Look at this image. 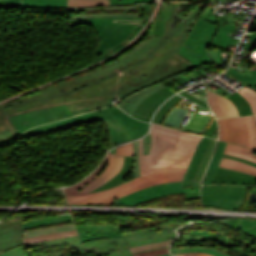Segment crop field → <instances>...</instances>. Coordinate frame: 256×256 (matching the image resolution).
I'll use <instances>...</instances> for the list:
<instances>
[{
  "mask_svg": "<svg viewBox=\"0 0 256 256\" xmlns=\"http://www.w3.org/2000/svg\"><path fill=\"white\" fill-rule=\"evenodd\" d=\"M190 23H193L192 19L187 20L185 25H183L178 32L171 35L163 45H160V48H157L155 52L151 53L144 61L138 64H130L126 69H124V71H121L112 77L96 84H92L89 87L82 88L81 90H76L44 101L24 102L19 105L2 109V111L7 117H9L66 103L70 111H73L75 114H81L109 106L112 104V100L117 97L122 98L127 94L157 82L166 76L190 69L193 66L172 54L188 31V25ZM172 57H175L180 61L175 66L168 62L169 58ZM88 88H91L94 93L92 99L88 100H98V102L91 104L89 108H85L78 105V102L86 100V97L80 99L79 96L80 91ZM7 117L5 120L6 127H8V129L0 132V143L18 134L17 130Z\"/></svg>",
  "mask_w": 256,
  "mask_h": 256,
  "instance_id": "obj_1",
  "label": "crop field"
},
{
  "mask_svg": "<svg viewBox=\"0 0 256 256\" xmlns=\"http://www.w3.org/2000/svg\"><path fill=\"white\" fill-rule=\"evenodd\" d=\"M176 227L142 229L122 233L123 238H113L80 244L78 236L27 245L28 256H127V247L166 241L175 238Z\"/></svg>",
  "mask_w": 256,
  "mask_h": 256,
  "instance_id": "obj_2",
  "label": "crop field"
},
{
  "mask_svg": "<svg viewBox=\"0 0 256 256\" xmlns=\"http://www.w3.org/2000/svg\"><path fill=\"white\" fill-rule=\"evenodd\" d=\"M199 7L200 5L195 4L177 3L174 8V13L171 19L166 21L165 35L162 38L150 35L148 37V40H145L143 43L129 51L123 57L117 59L119 62L116 64L114 62H111L102 67H97L83 74L55 83L43 89L42 93L40 94L34 95L32 97L19 99L14 103L2 105L0 106V108H3L8 105H13L21 101L48 98L59 93L83 87L95 81H99L108 75L113 74L114 72L122 69L125 65H127V63L138 62L140 59H142L144 56L150 53L153 49H155L159 44L163 43L165 38L172 34L179 26H181L185 19L190 18Z\"/></svg>",
  "mask_w": 256,
  "mask_h": 256,
  "instance_id": "obj_3",
  "label": "crop field"
},
{
  "mask_svg": "<svg viewBox=\"0 0 256 256\" xmlns=\"http://www.w3.org/2000/svg\"><path fill=\"white\" fill-rule=\"evenodd\" d=\"M201 137L200 135L180 132L153 123L150 155L143 156V139L139 140L141 176L153 173L151 167L156 166L187 167Z\"/></svg>",
  "mask_w": 256,
  "mask_h": 256,
  "instance_id": "obj_4",
  "label": "crop field"
},
{
  "mask_svg": "<svg viewBox=\"0 0 256 256\" xmlns=\"http://www.w3.org/2000/svg\"><path fill=\"white\" fill-rule=\"evenodd\" d=\"M109 163L110 157L107 156L101 166L91 176L70 188H65L68 204H112L115 199L143 188L160 183L181 181L187 169L182 167H156L152 168L154 174L132 179L115 188L92 194L75 195L98 179L106 171Z\"/></svg>",
  "mask_w": 256,
  "mask_h": 256,
  "instance_id": "obj_5",
  "label": "crop field"
},
{
  "mask_svg": "<svg viewBox=\"0 0 256 256\" xmlns=\"http://www.w3.org/2000/svg\"><path fill=\"white\" fill-rule=\"evenodd\" d=\"M117 20V22H115ZM72 26L91 25L96 31L101 43L93 52L105 51L123 39L132 31L134 25H140V18H98L71 20Z\"/></svg>",
  "mask_w": 256,
  "mask_h": 256,
  "instance_id": "obj_6",
  "label": "crop field"
},
{
  "mask_svg": "<svg viewBox=\"0 0 256 256\" xmlns=\"http://www.w3.org/2000/svg\"><path fill=\"white\" fill-rule=\"evenodd\" d=\"M100 120H104L107 125L108 133L111 140V147L121 142L131 140L127 132L122 128V126L117 122V120L111 115V113L107 109L82 115L79 117L51 123L48 125L36 127L23 133L22 137H28V136H33L37 134L59 131L69 126L80 125V124L100 121Z\"/></svg>",
  "mask_w": 256,
  "mask_h": 256,
  "instance_id": "obj_7",
  "label": "crop field"
},
{
  "mask_svg": "<svg viewBox=\"0 0 256 256\" xmlns=\"http://www.w3.org/2000/svg\"><path fill=\"white\" fill-rule=\"evenodd\" d=\"M211 10V7H207L202 13L176 54L194 66L210 62L205 46L211 40L215 32V26L204 19H206Z\"/></svg>",
  "mask_w": 256,
  "mask_h": 256,
  "instance_id": "obj_8",
  "label": "crop field"
},
{
  "mask_svg": "<svg viewBox=\"0 0 256 256\" xmlns=\"http://www.w3.org/2000/svg\"><path fill=\"white\" fill-rule=\"evenodd\" d=\"M246 187L205 186L202 189L203 205L238 209L245 197Z\"/></svg>",
  "mask_w": 256,
  "mask_h": 256,
  "instance_id": "obj_9",
  "label": "crop field"
},
{
  "mask_svg": "<svg viewBox=\"0 0 256 256\" xmlns=\"http://www.w3.org/2000/svg\"><path fill=\"white\" fill-rule=\"evenodd\" d=\"M200 187L181 188V182L167 183L147 188L114 202L115 205H136L165 195L199 191Z\"/></svg>",
  "mask_w": 256,
  "mask_h": 256,
  "instance_id": "obj_10",
  "label": "crop field"
},
{
  "mask_svg": "<svg viewBox=\"0 0 256 256\" xmlns=\"http://www.w3.org/2000/svg\"><path fill=\"white\" fill-rule=\"evenodd\" d=\"M22 222L0 224V256H27L21 235Z\"/></svg>",
  "mask_w": 256,
  "mask_h": 256,
  "instance_id": "obj_11",
  "label": "crop field"
},
{
  "mask_svg": "<svg viewBox=\"0 0 256 256\" xmlns=\"http://www.w3.org/2000/svg\"><path fill=\"white\" fill-rule=\"evenodd\" d=\"M70 19L97 17H140L136 5L68 9Z\"/></svg>",
  "mask_w": 256,
  "mask_h": 256,
  "instance_id": "obj_12",
  "label": "crop field"
},
{
  "mask_svg": "<svg viewBox=\"0 0 256 256\" xmlns=\"http://www.w3.org/2000/svg\"><path fill=\"white\" fill-rule=\"evenodd\" d=\"M9 120L12 122L18 132L22 133L37 125L55 121V118L53 117L49 109L45 108L34 112L10 117Z\"/></svg>",
  "mask_w": 256,
  "mask_h": 256,
  "instance_id": "obj_13",
  "label": "crop field"
},
{
  "mask_svg": "<svg viewBox=\"0 0 256 256\" xmlns=\"http://www.w3.org/2000/svg\"><path fill=\"white\" fill-rule=\"evenodd\" d=\"M174 93L175 92L166 87L152 94L137 107L132 116L139 120L149 122L157 107Z\"/></svg>",
  "mask_w": 256,
  "mask_h": 256,
  "instance_id": "obj_14",
  "label": "crop field"
},
{
  "mask_svg": "<svg viewBox=\"0 0 256 256\" xmlns=\"http://www.w3.org/2000/svg\"><path fill=\"white\" fill-rule=\"evenodd\" d=\"M113 116L118 120V122L123 126V128L128 132L132 139H137L146 134L149 124L140 122L116 106L107 108Z\"/></svg>",
  "mask_w": 256,
  "mask_h": 256,
  "instance_id": "obj_15",
  "label": "crop field"
},
{
  "mask_svg": "<svg viewBox=\"0 0 256 256\" xmlns=\"http://www.w3.org/2000/svg\"><path fill=\"white\" fill-rule=\"evenodd\" d=\"M76 228L78 229L81 243L105 238L121 237L119 226H79Z\"/></svg>",
  "mask_w": 256,
  "mask_h": 256,
  "instance_id": "obj_16",
  "label": "crop field"
},
{
  "mask_svg": "<svg viewBox=\"0 0 256 256\" xmlns=\"http://www.w3.org/2000/svg\"><path fill=\"white\" fill-rule=\"evenodd\" d=\"M212 184L256 185V177L219 167Z\"/></svg>",
  "mask_w": 256,
  "mask_h": 256,
  "instance_id": "obj_17",
  "label": "crop field"
},
{
  "mask_svg": "<svg viewBox=\"0 0 256 256\" xmlns=\"http://www.w3.org/2000/svg\"><path fill=\"white\" fill-rule=\"evenodd\" d=\"M208 105L214 111L216 117L225 118L239 116L235 106L228 99H225L208 90Z\"/></svg>",
  "mask_w": 256,
  "mask_h": 256,
  "instance_id": "obj_18",
  "label": "crop field"
},
{
  "mask_svg": "<svg viewBox=\"0 0 256 256\" xmlns=\"http://www.w3.org/2000/svg\"><path fill=\"white\" fill-rule=\"evenodd\" d=\"M229 142H233L239 145L247 147L248 136L244 117L229 118Z\"/></svg>",
  "mask_w": 256,
  "mask_h": 256,
  "instance_id": "obj_19",
  "label": "crop field"
},
{
  "mask_svg": "<svg viewBox=\"0 0 256 256\" xmlns=\"http://www.w3.org/2000/svg\"><path fill=\"white\" fill-rule=\"evenodd\" d=\"M165 86L158 84L146 90L140 91L138 93L133 94L125 101H123L120 105H118L123 111L127 112L128 114H132V112L136 109V107L149 95L156 92L157 90L163 88Z\"/></svg>",
  "mask_w": 256,
  "mask_h": 256,
  "instance_id": "obj_20",
  "label": "crop field"
},
{
  "mask_svg": "<svg viewBox=\"0 0 256 256\" xmlns=\"http://www.w3.org/2000/svg\"><path fill=\"white\" fill-rule=\"evenodd\" d=\"M235 29H236L235 26H231L226 23L224 24L223 27L218 26V32L214 40L211 42L210 46H214L222 49H226L228 44L237 46L239 42L238 39L226 37L229 31H235Z\"/></svg>",
  "mask_w": 256,
  "mask_h": 256,
  "instance_id": "obj_21",
  "label": "crop field"
},
{
  "mask_svg": "<svg viewBox=\"0 0 256 256\" xmlns=\"http://www.w3.org/2000/svg\"><path fill=\"white\" fill-rule=\"evenodd\" d=\"M132 166H133V157L125 156V162H124L123 169L115 177H113L110 181H108L105 185L95 189L92 192H97V191H101V190L108 189L111 187H115L120 182H122L124 178L127 177Z\"/></svg>",
  "mask_w": 256,
  "mask_h": 256,
  "instance_id": "obj_22",
  "label": "crop field"
},
{
  "mask_svg": "<svg viewBox=\"0 0 256 256\" xmlns=\"http://www.w3.org/2000/svg\"><path fill=\"white\" fill-rule=\"evenodd\" d=\"M174 4H164L153 25L151 35L162 37L164 35L165 21L169 19ZM161 18V20H159Z\"/></svg>",
  "mask_w": 256,
  "mask_h": 256,
  "instance_id": "obj_23",
  "label": "crop field"
},
{
  "mask_svg": "<svg viewBox=\"0 0 256 256\" xmlns=\"http://www.w3.org/2000/svg\"><path fill=\"white\" fill-rule=\"evenodd\" d=\"M225 145H226V142L218 141L217 148L214 152V157H213L212 162L209 166V169L207 171V174L205 176L203 184H211L212 183L214 174H215V172L218 168L219 161H220V158H221V155H222V152L224 150Z\"/></svg>",
  "mask_w": 256,
  "mask_h": 256,
  "instance_id": "obj_24",
  "label": "crop field"
},
{
  "mask_svg": "<svg viewBox=\"0 0 256 256\" xmlns=\"http://www.w3.org/2000/svg\"><path fill=\"white\" fill-rule=\"evenodd\" d=\"M219 166L226 167V168L240 171V172H244V173H248V174H252V175H256V167H253V166L248 165L243 162L224 158V157L222 158Z\"/></svg>",
  "mask_w": 256,
  "mask_h": 256,
  "instance_id": "obj_25",
  "label": "crop field"
},
{
  "mask_svg": "<svg viewBox=\"0 0 256 256\" xmlns=\"http://www.w3.org/2000/svg\"><path fill=\"white\" fill-rule=\"evenodd\" d=\"M252 152H253V149L228 143L224 153L233 155V156H238L252 162H256V156L253 155Z\"/></svg>",
  "mask_w": 256,
  "mask_h": 256,
  "instance_id": "obj_26",
  "label": "crop field"
},
{
  "mask_svg": "<svg viewBox=\"0 0 256 256\" xmlns=\"http://www.w3.org/2000/svg\"><path fill=\"white\" fill-rule=\"evenodd\" d=\"M215 143H216V140H212L208 150L206 151L203 159H202V162L200 164V167H199V170L195 176V179H194V184L193 186H200L201 185V181H202V177L204 175V172L206 170V167L210 161V158H211V155H212V152L214 150V147H215Z\"/></svg>",
  "mask_w": 256,
  "mask_h": 256,
  "instance_id": "obj_27",
  "label": "crop field"
},
{
  "mask_svg": "<svg viewBox=\"0 0 256 256\" xmlns=\"http://www.w3.org/2000/svg\"><path fill=\"white\" fill-rule=\"evenodd\" d=\"M227 220H230V222H226V223L256 236V220H247V219H239V218H232ZM220 221H223V220H220Z\"/></svg>",
  "mask_w": 256,
  "mask_h": 256,
  "instance_id": "obj_28",
  "label": "crop field"
},
{
  "mask_svg": "<svg viewBox=\"0 0 256 256\" xmlns=\"http://www.w3.org/2000/svg\"><path fill=\"white\" fill-rule=\"evenodd\" d=\"M75 235H77V232H76V230H73V231L43 235V236L34 237V238H27V239H23V241H24V245H27V244H32V243H38V242H43V241H48V240L64 238V237H71V236H75Z\"/></svg>",
  "mask_w": 256,
  "mask_h": 256,
  "instance_id": "obj_29",
  "label": "crop field"
},
{
  "mask_svg": "<svg viewBox=\"0 0 256 256\" xmlns=\"http://www.w3.org/2000/svg\"><path fill=\"white\" fill-rule=\"evenodd\" d=\"M210 141H211V139L205 138V140H204V142H203V144H202V146H201V148H200V150H199V152L197 154L195 162H194V164H193V166H192V168H191V170L189 172V175H188L185 187L192 186L194 175H195V173H196V171H197V169L199 167L201 159H202V157H203V155H204V153H205V151H206Z\"/></svg>",
  "mask_w": 256,
  "mask_h": 256,
  "instance_id": "obj_30",
  "label": "crop field"
},
{
  "mask_svg": "<svg viewBox=\"0 0 256 256\" xmlns=\"http://www.w3.org/2000/svg\"><path fill=\"white\" fill-rule=\"evenodd\" d=\"M228 99H230L236 106L240 116L253 115L248 102L239 93H234L229 96Z\"/></svg>",
  "mask_w": 256,
  "mask_h": 256,
  "instance_id": "obj_31",
  "label": "crop field"
},
{
  "mask_svg": "<svg viewBox=\"0 0 256 256\" xmlns=\"http://www.w3.org/2000/svg\"><path fill=\"white\" fill-rule=\"evenodd\" d=\"M67 221H72L71 216L70 215H61V216H57V217H53V218H45V219L38 220V221L23 223L22 229L38 227V226L52 224V223H58V222H67Z\"/></svg>",
  "mask_w": 256,
  "mask_h": 256,
  "instance_id": "obj_32",
  "label": "crop field"
},
{
  "mask_svg": "<svg viewBox=\"0 0 256 256\" xmlns=\"http://www.w3.org/2000/svg\"><path fill=\"white\" fill-rule=\"evenodd\" d=\"M227 72L234 78L248 86H256V71L248 70L246 76H244L236 71L233 67H230Z\"/></svg>",
  "mask_w": 256,
  "mask_h": 256,
  "instance_id": "obj_33",
  "label": "crop field"
},
{
  "mask_svg": "<svg viewBox=\"0 0 256 256\" xmlns=\"http://www.w3.org/2000/svg\"><path fill=\"white\" fill-rule=\"evenodd\" d=\"M73 229H76V228H75L74 224H71V225L51 227V228H45V229L24 232L22 234H23V238H27V237H34V236H38V235L66 231V230H73Z\"/></svg>",
  "mask_w": 256,
  "mask_h": 256,
  "instance_id": "obj_34",
  "label": "crop field"
},
{
  "mask_svg": "<svg viewBox=\"0 0 256 256\" xmlns=\"http://www.w3.org/2000/svg\"><path fill=\"white\" fill-rule=\"evenodd\" d=\"M182 232H202L204 233V238H207V239H213V240H218V241H222L226 244H229V243H236L238 244L239 241L233 239V238H230L228 236H225L223 234H220V233H216V232H213V231H202V230H187V231H181L180 233Z\"/></svg>",
  "mask_w": 256,
  "mask_h": 256,
  "instance_id": "obj_35",
  "label": "crop field"
},
{
  "mask_svg": "<svg viewBox=\"0 0 256 256\" xmlns=\"http://www.w3.org/2000/svg\"><path fill=\"white\" fill-rule=\"evenodd\" d=\"M110 5L109 0H68L67 7Z\"/></svg>",
  "mask_w": 256,
  "mask_h": 256,
  "instance_id": "obj_36",
  "label": "crop field"
},
{
  "mask_svg": "<svg viewBox=\"0 0 256 256\" xmlns=\"http://www.w3.org/2000/svg\"><path fill=\"white\" fill-rule=\"evenodd\" d=\"M170 252L172 254L186 253V252H207L215 256H227L226 254L212 248H180V249L170 250Z\"/></svg>",
  "mask_w": 256,
  "mask_h": 256,
  "instance_id": "obj_37",
  "label": "crop field"
},
{
  "mask_svg": "<svg viewBox=\"0 0 256 256\" xmlns=\"http://www.w3.org/2000/svg\"><path fill=\"white\" fill-rule=\"evenodd\" d=\"M179 99H181V97L176 95L172 97L168 102H166L156 113L153 122L159 124V122L162 120L163 116L166 114L169 108L173 106Z\"/></svg>",
  "mask_w": 256,
  "mask_h": 256,
  "instance_id": "obj_38",
  "label": "crop field"
},
{
  "mask_svg": "<svg viewBox=\"0 0 256 256\" xmlns=\"http://www.w3.org/2000/svg\"><path fill=\"white\" fill-rule=\"evenodd\" d=\"M250 104L253 114H256V92L247 86L238 91Z\"/></svg>",
  "mask_w": 256,
  "mask_h": 256,
  "instance_id": "obj_39",
  "label": "crop field"
},
{
  "mask_svg": "<svg viewBox=\"0 0 256 256\" xmlns=\"http://www.w3.org/2000/svg\"><path fill=\"white\" fill-rule=\"evenodd\" d=\"M49 109L55 116L56 120L72 117L74 115L69 111L66 104L50 107Z\"/></svg>",
  "mask_w": 256,
  "mask_h": 256,
  "instance_id": "obj_40",
  "label": "crop field"
},
{
  "mask_svg": "<svg viewBox=\"0 0 256 256\" xmlns=\"http://www.w3.org/2000/svg\"><path fill=\"white\" fill-rule=\"evenodd\" d=\"M245 118H246V122H247L248 136H249L248 147L254 149V138H256L255 120H254L253 116H248Z\"/></svg>",
  "mask_w": 256,
  "mask_h": 256,
  "instance_id": "obj_41",
  "label": "crop field"
},
{
  "mask_svg": "<svg viewBox=\"0 0 256 256\" xmlns=\"http://www.w3.org/2000/svg\"><path fill=\"white\" fill-rule=\"evenodd\" d=\"M169 244H170V241H166V242H160V243H154V244L132 247V248H129V249H130L131 253H134V252L151 250V249H156V248H161V247H167V246H169Z\"/></svg>",
  "mask_w": 256,
  "mask_h": 256,
  "instance_id": "obj_42",
  "label": "crop field"
},
{
  "mask_svg": "<svg viewBox=\"0 0 256 256\" xmlns=\"http://www.w3.org/2000/svg\"><path fill=\"white\" fill-rule=\"evenodd\" d=\"M217 121H218L219 129H220V137H219V139L227 141V138H228V128H227L226 119H219Z\"/></svg>",
  "mask_w": 256,
  "mask_h": 256,
  "instance_id": "obj_43",
  "label": "crop field"
},
{
  "mask_svg": "<svg viewBox=\"0 0 256 256\" xmlns=\"http://www.w3.org/2000/svg\"><path fill=\"white\" fill-rule=\"evenodd\" d=\"M116 155H133L132 143L117 147Z\"/></svg>",
  "mask_w": 256,
  "mask_h": 256,
  "instance_id": "obj_44",
  "label": "crop field"
},
{
  "mask_svg": "<svg viewBox=\"0 0 256 256\" xmlns=\"http://www.w3.org/2000/svg\"><path fill=\"white\" fill-rule=\"evenodd\" d=\"M167 253H169L168 248H165V249L146 251V252L134 254L133 256H157V255H162Z\"/></svg>",
  "mask_w": 256,
  "mask_h": 256,
  "instance_id": "obj_45",
  "label": "crop field"
},
{
  "mask_svg": "<svg viewBox=\"0 0 256 256\" xmlns=\"http://www.w3.org/2000/svg\"><path fill=\"white\" fill-rule=\"evenodd\" d=\"M133 145H134V166L133 167L135 171L134 178H136L140 176L139 167H138V140L133 142Z\"/></svg>",
  "mask_w": 256,
  "mask_h": 256,
  "instance_id": "obj_46",
  "label": "crop field"
},
{
  "mask_svg": "<svg viewBox=\"0 0 256 256\" xmlns=\"http://www.w3.org/2000/svg\"><path fill=\"white\" fill-rule=\"evenodd\" d=\"M153 0H111V5L114 4H135V3H144L151 2Z\"/></svg>",
  "mask_w": 256,
  "mask_h": 256,
  "instance_id": "obj_47",
  "label": "crop field"
},
{
  "mask_svg": "<svg viewBox=\"0 0 256 256\" xmlns=\"http://www.w3.org/2000/svg\"><path fill=\"white\" fill-rule=\"evenodd\" d=\"M123 161H124V156L120 157L119 164H118L116 170H115L104 182H102L100 185L106 183L108 180H110L113 176H115V175L121 170L122 165H123ZM100 185H99V186H100ZM97 187H98V186H97ZM94 189H95V188H94ZM92 190H93V189H92ZM92 190H90V191H92ZM90 191H88V192H90ZM88 192H86V193H88Z\"/></svg>",
  "mask_w": 256,
  "mask_h": 256,
  "instance_id": "obj_48",
  "label": "crop field"
},
{
  "mask_svg": "<svg viewBox=\"0 0 256 256\" xmlns=\"http://www.w3.org/2000/svg\"><path fill=\"white\" fill-rule=\"evenodd\" d=\"M179 94H181V95L184 96L185 98H187V99H189V100H191V101H193V102H195V103H197V104H199V105H201V106H203V107H205L206 109L209 110V108H208V106H207L206 103H204V102H202V101H200V100H198V99H196V98H194V97H192V96H190V95L184 93L183 91L180 92Z\"/></svg>",
  "mask_w": 256,
  "mask_h": 256,
  "instance_id": "obj_49",
  "label": "crop field"
},
{
  "mask_svg": "<svg viewBox=\"0 0 256 256\" xmlns=\"http://www.w3.org/2000/svg\"><path fill=\"white\" fill-rule=\"evenodd\" d=\"M140 7V11L142 13V11L144 12H151L152 13V5L151 4H146V5H139ZM151 14L147 15V19L143 20V24L148 20V18L150 17Z\"/></svg>",
  "mask_w": 256,
  "mask_h": 256,
  "instance_id": "obj_50",
  "label": "crop field"
},
{
  "mask_svg": "<svg viewBox=\"0 0 256 256\" xmlns=\"http://www.w3.org/2000/svg\"><path fill=\"white\" fill-rule=\"evenodd\" d=\"M0 5L20 6V0H0Z\"/></svg>",
  "mask_w": 256,
  "mask_h": 256,
  "instance_id": "obj_51",
  "label": "crop field"
},
{
  "mask_svg": "<svg viewBox=\"0 0 256 256\" xmlns=\"http://www.w3.org/2000/svg\"><path fill=\"white\" fill-rule=\"evenodd\" d=\"M118 159H119V157H115L114 164H113L112 169H111V171L109 172V174H108L106 177H104L101 181H99L97 184H95L93 187H95V186H97L98 184H100L103 180H105V179L114 171V169H115V167H116V165H117V163H118ZM93 187H91V188H93ZM91 188H89V189H91ZM89 189H88V190H89ZM88 190H86V191H88ZM86 191H84V192H86ZM84 192H82V193H84Z\"/></svg>",
  "mask_w": 256,
  "mask_h": 256,
  "instance_id": "obj_52",
  "label": "crop field"
},
{
  "mask_svg": "<svg viewBox=\"0 0 256 256\" xmlns=\"http://www.w3.org/2000/svg\"><path fill=\"white\" fill-rule=\"evenodd\" d=\"M113 161H114V157H111V163H110V166H109V168L107 169V171H106L98 180H96L94 183H92L91 185H89L88 187H86L85 189H83L82 191H84V190H86L87 188L93 186L95 183H97L99 180H101L104 176H106V175L108 174V172H109L111 166H112ZM82 191H81V192H82ZM81 192H79L78 194H80Z\"/></svg>",
  "mask_w": 256,
  "mask_h": 256,
  "instance_id": "obj_53",
  "label": "crop field"
},
{
  "mask_svg": "<svg viewBox=\"0 0 256 256\" xmlns=\"http://www.w3.org/2000/svg\"><path fill=\"white\" fill-rule=\"evenodd\" d=\"M216 128H217V123H216V120L214 119L213 123L211 124L210 128L205 133V135L211 137L214 131L216 130Z\"/></svg>",
  "mask_w": 256,
  "mask_h": 256,
  "instance_id": "obj_54",
  "label": "crop field"
},
{
  "mask_svg": "<svg viewBox=\"0 0 256 256\" xmlns=\"http://www.w3.org/2000/svg\"><path fill=\"white\" fill-rule=\"evenodd\" d=\"M203 139H204V137L202 138V140H201V142H200V144H199V147H200V145H201ZM199 147H198V149H199ZM198 149H197V151H196V153H195V155H194V157H193V159H192V161H191V163H190V166H189V168H188V170H187V173H186V176H185V178H184V182H183V186H182V187L185 186V182H186V178H187L188 172H189L190 167H191V165H192V163H193V161H194V159H195V157H196V154H197V152H198Z\"/></svg>",
  "mask_w": 256,
  "mask_h": 256,
  "instance_id": "obj_55",
  "label": "crop field"
},
{
  "mask_svg": "<svg viewBox=\"0 0 256 256\" xmlns=\"http://www.w3.org/2000/svg\"><path fill=\"white\" fill-rule=\"evenodd\" d=\"M177 255H185V256H212L206 253H187V254H177Z\"/></svg>",
  "mask_w": 256,
  "mask_h": 256,
  "instance_id": "obj_56",
  "label": "crop field"
},
{
  "mask_svg": "<svg viewBox=\"0 0 256 256\" xmlns=\"http://www.w3.org/2000/svg\"><path fill=\"white\" fill-rule=\"evenodd\" d=\"M185 196H186V199L197 198V197H200V193L199 192L185 193Z\"/></svg>",
  "mask_w": 256,
  "mask_h": 256,
  "instance_id": "obj_57",
  "label": "crop field"
},
{
  "mask_svg": "<svg viewBox=\"0 0 256 256\" xmlns=\"http://www.w3.org/2000/svg\"><path fill=\"white\" fill-rule=\"evenodd\" d=\"M223 156L228 157V158H231V159L243 161V162H246V163L251 164V165H253V166H256V163H252V162L246 161V160L241 159V158H237V157H233V156H229V155H225V154H224Z\"/></svg>",
  "mask_w": 256,
  "mask_h": 256,
  "instance_id": "obj_58",
  "label": "crop field"
},
{
  "mask_svg": "<svg viewBox=\"0 0 256 256\" xmlns=\"http://www.w3.org/2000/svg\"><path fill=\"white\" fill-rule=\"evenodd\" d=\"M232 62H234V61H232ZM234 63H235V62H234ZM235 64L238 65L237 63H235ZM238 66H239V65H238ZM239 67H241V66H239ZM241 68L247 72L246 69H244L243 67H241Z\"/></svg>",
  "mask_w": 256,
  "mask_h": 256,
  "instance_id": "obj_59",
  "label": "crop field"
},
{
  "mask_svg": "<svg viewBox=\"0 0 256 256\" xmlns=\"http://www.w3.org/2000/svg\"><path fill=\"white\" fill-rule=\"evenodd\" d=\"M255 117V120H256V116H254ZM255 149H256V139H255Z\"/></svg>",
  "mask_w": 256,
  "mask_h": 256,
  "instance_id": "obj_60",
  "label": "crop field"
},
{
  "mask_svg": "<svg viewBox=\"0 0 256 256\" xmlns=\"http://www.w3.org/2000/svg\"><path fill=\"white\" fill-rule=\"evenodd\" d=\"M162 256H173V255L167 254V255H162Z\"/></svg>",
  "mask_w": 256,
  "mask_h": 256,
  "instance_id": "obj_61",
  "label": "crop field"
},
{
  "mask_svg": "<svg viewBox=\"0 0 256 256\" xmlns=\"http://www.w3.org/2000/svg\"><path fill=\"white\" fill-rule=\"evenodd\" d=\"M108 155H110V153Z\"/></svg>",
  "mask_w": 256,
  "mask_h": 256,
  "instance_id": "obj_62",
  "label": "crop field"
},
{
  "mask_svg": "<svg viewBox=\"0 0 256 256\" xmlns=\"http://www.w3.org/2000/svg\"><path fill=\"white\" fill-rule=\"evenodd\" d=\"M206 1H208V0H206Z\"/></svg>",
  "mask_w": 256,
  "mask_h": 256,
  "instance_id": "obj_63",
  "label": "crop field"
}]
</instances>
